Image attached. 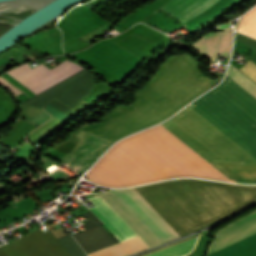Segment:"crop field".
<instances>
[{"label":"crop field","instance_id":"obj_1","mask_svg":"<svg viewBox=\"0 0 256 256\" xmlns=\"http://www.w3.org/2000/svg\"><path fill=\"white\" fill-rule=\"evenodd\" d=\"M189 107L256 157V99L231 79ZM194 110L186 107L160 125L209 164L256 165L254 156ZM160 125L114 145L86 178L110 187L183 176L229 181Z\"/></svg>","mask_w":256,"mask_h":256},{"label":"crop field","instance_id":"obj_2","mask_svg":"<svg viewBox=\"0 0 256 256\" xmlns=\"http://www.w3.org/2000/svg\"><path fill=\"white\" fill-rule=\"evenodd\" d=\"M214 83L201 75L199 64L191 57H173L137 92L133 105L118 106L102 123L84 125L81 130L114 143L174 114Z\"/></svg>","mask_w":256,"mask_h":256},{"label":"crop field","instance_id":"obj_3","mask_svg":"<svg viewBox=\"0 0 256 256\" xmlns=\"http://www.w3.org/2000/svg\"><path fill=\"white\" fill-rule=\"evenodd\" d=\"M180 236L249 205L256 186L179 179L134 188Z\"/></svg>","mask_w":256,"mask_h":256},{"label":"crop field","instance_id":"obj_4","mask_svg":"<svg viewBox=\"0 0 256 256\" xmlns=\"http://www.w3.org/2000/svg\"><path fill=\"white\" fill-rule=\"evenodd\" d=\"M111 192L160 243L179 237L133 189ZM111 192L93 195L100 196L149 247L160 244Z\"/></svg>","mask_w":256,"mask_h":256},{"label":"crop field","instance_id":"obj_5","mask_svg":"<svg viewBox=\"0 0 256 256\" xmlns=\"http://www.w3.org/2000/svg\"><path fill=\"white\" fill-rule=\"evenodd\" d=\"M88 200L95 206L90 210L106 225L119 242L137 236L100 197H90ZM145 248L148 246L137 236L88 254V256H124Z\"/></svg>","mask_w":256,"mask_h":256},{"label":"crop field","instance_id":"obj_6","mask_svg":"<svg viewBox=\"0 0 256 256\" xmlns=\"http://www.w3.org/2000/svg\"><path fill=\"white\" fill-rule=\"evenodd\" d=\"M83 69L66 60L50 70L41 64L30 69L26 63L7 73L37 94Z\"/></svg>","mask_w":256,"mask_h":256},{"label":"crop field","instance_id":"obj_7","mask_svg":"<svg viewBox=\"0 0 256 256\" xmlns=\"http://www.w3.org/2000/svg\"><path fill=\"white\" fill-rule=\"evenodd\" d=\"M0 256H70L53 234L39 229L0 247Z\"/></svg>","mask_w":256,"mask_h":256},{"label":"crop field","instance_id":"obj_8","mask_svg":"<svg viewBox=\"0 0 256 256\" xmlns=\"http://www.w3.org/2000/svg\"><path fill=\"white\" fill-rule=\"evenodd\" d=\"M256 233V211L217 231L208 254Z\"/></svg>","mask_w":256,"mask_h":256},{"label":"crop field","instance_id":"obj_9","mask_svg":"<svg viewBox=\"0 0 256 256\" xmlns=\"http://www.w3.org/2000/svg\"><path fill=\"white\" fill-rule=\"evenodd\" d=\"M231 23L232 21L219 27L226 29L224 32L208 33L193 46L213 63L218 55L228 58L231 44Z\"/></svg>","mask_w":256,"mask_h":256},{"label":"crop field","instance_id":"obj_10","mask_svg":"<svg viewBox=\"0 0 256 256\" xmlns=\"http://www.w3.org/2000/svg\"><path fill=\"white\" fill-rule=\"evenodd\" d=\"M217 0H170L160 7L182 23L200 14Z\"/></svg>","mask_w":256,"mask_h":256},{"label":"crop field","instance_id":"obj_11","mask_svg":"<svg viewBox=\"0 0 256 256\" xmlns=\"http://www.w3.org/2000/svg\"><path fill=\"white\" fill-rule=\"evenodd\" d=\"M195 236H197V235H195ZM192 237H194V236H192ZM192 237H189V238H192ZM198 237H194L192 239L186 238V239H189V240L183 239V240L174 242L170 245L176 244V243L184 241V240H186V241L178 243V244L173 245V246L168 245L170 247L164 246L162 248L156 249L154 251H151L149 253H146V254H143V255H140V256L151 254V253L156 252V251H158L160 249H163L165 247H168V248H165L163 250H160L156 253H153V254L147 255V256H185L193 250V248H194V246L197 242Z\"/></svg>","mask_w":256,"mask_h":256},{"label":"crop field","instance_id":"obj_12","mask_svg":"<svg viewBox=\"0 0 256 256\" xmlns=\"http://www.w3.org/2000/svg\"><path fill=\"white\" fill-rule=\"evenodd\" d=\"M236 30L256 38V7L240 19Z\"/></svg>","mask_w":256,"mask_h":256},{"label":"crop field","instance_id":"obj_13","mask_svg":"<svg viewBox=\"0 0 256 256\" xmlns=\"http://www.w3.org/2000/svg\"><path fill=\"white\" fill-rule=\"evenodd\" d=\"M227 76L256 98V85L247 79L244 75L230 66Z\"/></svg>","mask_w":256,"mask_h":256},{"label":"crop field","instance_id":"obj_14","mask_svg":"<svg viewBox=\"0 0 256 256\" xmlns=\"http://www.w3.org/2000/svg\"><path fill=\"white\" fill-rule=\"evenodd\" d=\"M212 232H204L201 234L198 243L192 253L187 256H202L207 243L210 241V236Z\"/></svg>","mask_w":256,"mask_h":256},{"label":"crop field","instance_id":"obj_15","mask_svg":"<svg viewBox=\"0 0 256 256\" xmlns=\"http://www.w3.org/2000/svg\"><path fill=\"white\" fill-rule=\"evenodd\" d=\"M235 40L255 51L249 60L256 64V41L238 32H236Z\"/></svg>","mask_w":256,"mask_h":256},{"label":"crop field","instance_id":"obj_16","mask_svg":"<svg viewBox=\"0 0 256 256\" xmlns=\"http://www.w3.org/2000/svg\"><path fill=\"white\" fill-rule=\"evenodd\" d=\"M239 71L256 83V65L251 61L248 60Z\"/></svg>","mask_w":256,"mask_h":256},{"label":"crop field","instance_id":"obj_17","mask_svg":"<svg viewBox=\"0 0 256 256\" xmlns=\"http://www.w3.org/2000/svg\"><path fill=\"white\" fill-rule=\"evenodd\" d=\"M49 118H50V116L43 111V112L39 113L38 115H36L35 117L31 118L29 121H31L32 123H34L36 125H40L43 122H45L46 120H48Z\"/></svg>","mask_w":256,"mask_h":256},{"label":"crop field","instance_id":"obj_18","mask_svg":"<svg viewBox=\"0 0 256 256\" xmlns=\"http://www.w3.org/2000/svg\"><path fill=\"white\" fill-rule=\"evenodd\" d=\"M82 215L88 220L87 222L81 224L86 229L91 228V227L96 226V225H99V223L88 212H86Z\"/></svg>","mask_w":256,"mask_h":256}]
</instances>
